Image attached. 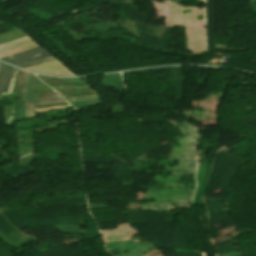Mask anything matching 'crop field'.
<instances>
[{"label": "crop field", "mask_w": 256, "mask_h": 256, "mask_svg": "<svg viewBox=\"0 0 256 256\" xmlns=\"http://www.w3.org/2000/svg\"><path fill=\"white\" fill-rule=\"evenodd\" d=\"M52 56L45 48L39 46L29 50H25L16 54H12L3 58H0L9 63L18 65L21 63L31 62L46 57Z\"/></svg>", "instance_id": "1"}, {"label": "crop field", "mask_w": 256, "mask_h": 256, "mask_svg": "<svg viewBox=\"0 0 256 256\" xmlns=\"http://www.w3.org/2000/svg\"><path fill=\"white\" fill-rule=\"evenodd\" d=\"M27 78L28 72L18 69L12 94L20 95V100H23L24 97Z\"/></svg>", "instance_id": "2"}, {"label": "crop field", "mask_w": 256, "mask_h": 256, "mask_svg": "<svg viewBox=\"0 0 256 256\" xmlns=\"http://www.w3.org/2000/svg\"><path fill=\"white\" fill-rule=\"evenodd\" d=\"M61 102H65L63 100V98L41 99V100H35V101H25V108H26L27 118L36 117L35 105L50 104V103H61Z\"/></svg>", "instance_id": "3"}, {"label": "crop field", "mask_w": 256, "mask_h": 256, "mask_svg": "<svg viewBox=\"0 0 256 256\" xmlns=\"http://www.w3.org/2000/svg\"><path fill=\"white\" fill-rule=\"evenodd\" d=\"M5 72H6V66L1 64L0 65V91H1L2 86H3V82H4V78H5ZM15 75H16V69L13 68V67H10L9 70H8V73L6 75V78H5L2 93H7L11 77L12 76L15 77Z\"/></svg>", "instance_id": "4"}, {"label": "crop field", "mask_w": 256, "mask_h": 256, "mask_svg": "<svg viewBox=\"0 0 256 256\" xmlns=\"http://www.w3.org/2000/svg\"><path fill=\"white\" fill-rule=\"evenodd\" d=\"M52 60H56V58L54 56L52 57H49V58H46V59H43V60H39V61H35V62H31V63H26V64H21V65H18L22 68H25V67H29V66H32V65H36V64H40V63H44V62H48V61H52Z\"/></svg>", "instance_id": "5"}, {"label": "crop field", "mask_w": 256, "mask_h": 256, "mask_svg": "<svg viewBox=\"0 0 256 256\" xmlns=\"http://www.w3.org/2000/svg\"><path fill=\"white\" fill-rule=\"evenodd\" d=\"M90 97H99V96L93 95V96L68 97V98H66V100L77 99V98H90Z\"/></svg>", "instance_id": "6"}]
</instances>
